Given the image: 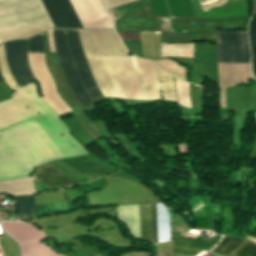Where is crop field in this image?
<instances>
[{
  "label": "crop field",
  "mask_w": 256,
  "mask_h": 256,
  "mask_svg": "<svg viewBox=\"0 0 256 256\" xmlns=\"http://www.w3.org/2000/svg\"><path fill=\"white\" fill-rule=\"evenodd\" d=\"M39 113L43 114L30 118ZM19 121L0 131V180L25 177L48 161L89 153L42 101L35 83L0 103V130Z\"/></svg>",
  "instance_id": "8a807250"
},
{
  "label": "crop field",
  "mask_w": 256,
  "mask_h": 256,
  "mask_svg": "<svg viewBox=\"0 0 256 256\" xmlns=\"http://www.w3.org/2000/svg\"><path fill=\"white\" fill-rule=\"evenodd\" d=\"M99 59L120 99L161 98L154 63L134 56H99Z\"/></svg>",
  "instance_id": "ac0d7876"
},
{
  "label": "crop field",
  "mask_w": 256,
  "mask_h": 256,
  "mask_svg": "<svg viewBox=\"0 0 256 256\" xmlns=\"http://www.w3.org/2000/svg\"><path fill=\"white\" fill-rule=\"evenodd\" d=\"M59 64L69 87L81 106L92 104L89 97L100 95L81 49L77 30L53 29Z\"/></svg>",
  "instance_id": "34b2d1b8"
},
{
  "label": "crop field",
  "mask_w": 256,
  "mask_h": 256,
  "mask_svg": "<svg viewBox=\"0 0 256 256\" xmlns=\"http://www.w3.org/2000/svg\"><path fill=\"white\" fill-rule=\"evenodd\" d=\"M53 27L41 0H0V43Z\"/></svg>",
  "instance_id": "412701ff"
},
{
  "label": "crop field",
  "mask_w": 256,
  "mask_h": 256,
  "mask_svg": "<svg viewBox=\"0 0 256 256\" xmlns=\"http://www.w3.org/2000/svg\"><path fill=\"white\" fill-rule=\"evenodd\" d=\"M4 229L21 245L23 256H62L41 244L45 236H76L82 235V227L61 229L58 231H40L32 225L22 222H1Z\"/></svg>",
  "instance_id": "f4fd0767"
},
{
  "label": "crop field",
  "mask_w": 256,
  "mask_h": 256,
  "mask_svg": "<svg viewBox=\"0 0 256 256\" xmlns=\"http://www.w3.org/2000/svg\"><path fill=\"white\" fill-rule=\"evenodd\" d=\"M141 241L171 240L169 214L162 203L139 205Z\"/></svg>",
  "instance_id": "dd49c442"
},
{
  "label": "crop field",
  "mask_w": 256,
  "mask_h": 256,
  "mask_svg": "<svg viewBox=\"0 0 256 256\" xmlns=\"http://www.w3.org/2000/svg\"><path fill=\"white\" fill-rule=\"evenodd\" d=\"M31 71L39 85L41 97L58 116L70 112V108L59 97L51 74L46 68L44 54H28Z\"/></svg>",
  "instance_id": "e52e79f7"
},
{
  "label": "crop field",
  "mask_w": 256,
  "mask_h": 256,
  "mask_svg": "<svg viewBox=\"0 0 256 256\" xmlns=\"http://www.w3.org/2000/svg\"><path fill=\"white\" fill-rule=\"evenodd\" d=\"M218 32V62L250 63L247 31Z\"/></svg>",
  "instance_id": "d8731c3e"
},
{
  "label": "crop field",
  "mask_w": 256,
  "mask_h": 256,
  "mask_svg": "<svg viewBox=\"0 0 256 256\" xmlns=\"http://www.w3.org/2000/svg\"><path fill=\"white\" fill-rule=\"evenodd\" d=\"M8 67L17 85L35 81L27 63V40L4 43Z\"/></svg>",
  "instance_id": "5a996713"
},
{
  "label": "crop field",
  "mask_w": 256,
  "mask_h": 256,
  "mask_svg": "<svg viewBox=\"0 0 256 256\" xmlns=\"http://www.w3.org/2000/svg\"><path fill=\"white\" fill-rule=\"evenodd\" d=\"M83 28L113 29V22L105 13L100 0H69Z\"/></svg>",
  "instance_id": "3316defc"
},
{
  "label": "crop field",
  "mask_w": 256,
  "mask_h": 256,
  "mask_svg": "<svg viewBox=\"0 0 256 256\" xmlns=\"http://www.w3.org/2000/svg\"><path fill=\"white\" fill-rule=\"evenodd\" d=\"M220 82V106L226 107L225 88L252 80L249 64L218 63Z\"/></svg>",
  "instance_id": "28ad6ade"
},
{
  "label": "crop field",
  "mask_w": 256,
  "mask_h": 256,
  "mask_svg": "<svg viewBox=\"0 0 256 256\" xmlns=\"http://www.w3.org/2000/svg\"><path fill=\"white\" fill-rule=\"evenodd\" d=\"M78 31L81 39L82 49L84 51L85 57L89 63V66L91 68V71L94 75V78L96 80V83L100 91L103 93L104 97H117L107 75L105 74L99 62L98 57L94 56L93 54L87 31L86 30H78Z\"/></svg>",
  "instance_id": "d1516ede"
},
{
  "label": "crop field",
  "mask_w": 256,
  "mask_h": 256,
  "mask_svg": "<svg viewBox=\"0 0 256 256\" xmlns=\"http://www.w3.org/2000/svg\"><path fill=\"white\" fill-rule=\"evenodd\" d=\"M95 55L127 56V52L114 31L87 30Z\"/></svg>",
  "instance_id": "22f410ed"
},
{
  "label": "crop field",
  "mask_w": 256,
  "mask_h": 256,
  "mask_svg": "<svg viewBox=\"0 0 256 256\" xmlns=\"http://www.w3.org/2000/svg\"><path fill=\"white\" fill-rule=\"evenodd\" d=\"M55 27L82 28L68 0H42Z\"/></svg>",
  "instance_id": "cbeb9de0"
},
{
  "label": "crop field",
  "mask_w": 256,
  "mask_h": 256,
  "mask_svg": "<svg viewBox=\"0 0 256 256\" xmlns=\"http://www.w3.org/2000/svg\"><path fill=\"white\" fill-rule=\"evenodd\" d=\"M211 252L220 256H256V245L241 239L223 237Z\"/></svg>",
  "instance_id": "5142ce71"
},
{
  "label": "crop field",
  "mask_w": 256,
  "mask_h": 256,
  "mask_svg": "<svg viewBox=\"0 0 256 256\" xmlns=\"http://www.w3.org/2000/svg\"><path fill=\"white\" fill-rule=\"evenodd\" d=\"M172 253L195 256L197 253L209 250L218 240L205 241L200 239L186 238L172 233Z\"/></svg>",
  "instance_id": "d9b57169"
},
{
  "label": "crop field",
  "mask_w": 256,
  "mask_h": 256,
  "mask_svg": "<svg viewBox=\"0 0 256 256\" xmlns=\"http://www.w3.org/2000/svg\"><path fill=\"white\" fill-rule=\"evenodd\" d=\"M35 177L50 189L68 186L75 183L74 180L49 163L38 168L35 172Z\"/></svg>",
  "instance_id": "733c2abd"
},
{
  "label": "crop field",
  "mask_w": 256,
  "mask_h": 256,
  "mask_svg": "<svg viewBox=\"0 0 256 256\" xmlns=\"http://www.w3.org/2000/svg\"><path fill=\"white\" fill-rule=\"evenodd\" d=\"M143 58L148 60L160 59V33L139 32Z\"/></svg>",
  "instance_id": "4a817a6b"
},
{
  "label": "crop field",
  "mask_w": 256,
  "mask_h": 256,
  "mask_svg": "<svg viewBox=\"0 0 256 256\" xmlns=\"http://www.w3.org/2000/svg\"><path fill=\"white\" fill-rule=\"evenodd\" d=\"M118 220L127 224L131 235L140 240L138 205L119 206Z\"/></svg>",
  "instance_id": "bc2a9ffb"
},
{
  "label": "crop field",
  "mask_w": 256,
  "mask_h": 256,
  "mask_svg": "<svg viewBox=\"0 0 256 256\" xmlns=\"http://www.w3.org/2000/svg\"><path fill=\"white\" fill-rule=\"evenodd\" d=\"M0 192L14 194H35L33 176L0 182Z\"/></svg>",
  "instance_id": "214f88e0"
},
{
  "label": "crop field",
  "mask_w": 256,
  "mask_h": 256,
  "mask_svg": "<svg viewBox=\"0 0 256 256\" xmlns=\"http://www.w3.org/2000/svg\"><path fill=\"white\" fill-rule=\"evenodd\" d=\"M63 161L80 171L107 175L105 170L98 163H96L93 159L87 156L64 159Z\"/></svg>",
  "instance_id": "92a150f3"
},
{
  "label": "crop field",
  "mask_w": 256,
  "mask_h": 256,
  "mask_svg": "<svg viewBox=\"0 0 256 256\" xmlns=\"http://www.w3.org/2000/svg\"><path fill=\"white\" fill-rule=\"evenodd\" d=\"M161 57H193V43H187V44L161 43Z\"/></svg>",
  "instance_id": "dafd665d"
},
{
  "label": "crop field",
  "mask_w": 256,
  "mask_h": 256,
  "mask_svg": "<svg viewBox=\"0 0 256 256\" xmlns=\"http://www.w3.org/2000/svg\"><path fill=\"white\" fill-rule=\"evenodd\" d=\"M17 215L25 214V217L35 216L36 206L34 196H15Z\"/></svg>",
  "instance_id": "00972430"
},
{
  "label": "crop field",
  "mask_w": 256,
  "mask_h": 256,
  "mask_svg": "<svg viewBox=\"0 0 256 256\" xmlns=\"http://www.w3.org/2000/svg\"><path fill=\"white\" fill-rule=\"evenodd\" d=\"M175 87L178 104L183 107L191 108L188 83L175 79Z\"/></svg>",
  "instance_id": "a9b5d70f"
},
{
  "label": "crop field",
  "mask_w": 256,
  "mask_h": 256,
  "mask_svg": "<svg viewBox=\"0 0 256 256\" xmlns=\"http://www.w3.org/2000/svg\"><path fill=\"white\" fill-rule=\"evenodd\" d=\"M0 71L5 79L6 83L10 87L11 91L18 89V86L16 85L15 81L13 80V78L7 68L3 45L0 46Z\"/></svg>",
  "instance_id": "4177f3b9"
},
{
  "label": "crop field",
  "mask_w": 256,
  "mask_h": 256,
  "mask_svg": "<svg viewBox=\"0 0 256 256\" xmlns=\"http://www.w3.org/2000/svg\"><path fill=\"white\" fill-rule=\"evenodd\" d=\"M28 53H44L42 33L29 39Z\"/></svg>",
  "instance_id": "730fd06b"
},
{
  "label": "crop field",
  "mask_w": 256,
  "mask_h": 256,
  "mask_svg": "<svg viewBox=\"0 0 256 256\" xmlns=\"http://www.w3.org/2000/svg\"><path fill=\"white\" fill-rule=\"evenodd\" d=\"M249 38L251 44L252 59H256V15H253L249 25Z\"/></svg>",
  "instance_id": "eef30255"
},
{
  "label": "crop field",
  "mask_w": 256,
  "mask_h": 256,
  "mask_svg": "<svg viewBox=\"0 0 256 256\" xmlns=\"http://www.w3.org/2000/svg\"><path fill=\"white\" fill-rule=\"evenodd\" d=\"M131 1L134 0H104L103 2L106 6V9H108Z\"/></svg>",
  "instance_id": "ae1a2a85"
},
{
  "label": "crop field",
  "mask_w": 256,
  "mask_h": 256,
  "mask_svg": "<svg viewBox=\"0 0 256 256\" xmlns=\"http://www.w3.org/2000/svg\"><path fill=\"white\" fill-rule=\"evenodd\" d=\"M48 36H49L50 50H51V52H55L51 29L48 30Z\"/></svg>",
  "instance_id": "d3111659"
},
{
  "label": "crop field",
  "mask_w": 256,
  "mask_h": 256,
  "mask_svg": "<svg viewBox=\"0 0 256 256\" xmlns=\"http://www.w3.org/2000/svg\"><path fill=\"white\" fill-rule=\"evenodd\" d=\"M252 73L256 75V60H252Z\"/></svg>",
  "instance_id": "750c4746"
},
{
  "label": "crop field",
  "mask_w": 256,
  "mask_h": 256,
  "mask_svg": "<svg viewBox=\"0 0 256 256\" xmlns=\"http://www.w3.org/2000/svg\"><path fill=\"white\" fill-rule=\"evenodd\" d=\"M246 239H247V240H250V241H252V242H254V243H256V240L253 239V238H251V237H249V236H248Z\"/></svg>",
  "instance_id": "bd1437ed"
},
{
  "label": "crop field",
  "mask_w": 256,
  "mask_h": 256,
  "mask_svg": "<svg viewBox=\"0 0 256 256\" xmlns=\"http://www.w3.org/2000/svg\"><path fill=\"white\" fill-rule=\"evenodd\" d=\"M5 81H4V79H3V77H2V75H1V73H0V83H4Z\"/></svg>",
  "instance_id": "1d83c4d3"
},
{
  "label": "crop field",
  "mask_w": 256,
  "mask_h": 256,
  "mask_svg": "<svg viewBox=\"0 0 256 256\" xmlns=\"http://www.w3.org/2000/svg\"><path fill=\"white\" fill-rule=\"evenodd\" d=\"M255 1V10H254V13H256V0H254Z\"/></svg>",
  "instance_id": "120bbe31"
}]
</instances>
